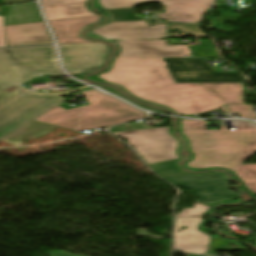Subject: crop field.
<instances>
[{
    "instance_id": "crop-field-1",
    "label": "crop field",
    "mask_w": 256,
    "mask_h": 256,
    "mask_svg": "<svg viewBox=\"0 0 256 256\" xmlns=\"http://www.w3.org/2000/svg\"><path fill=\"white\" fill-rule=\"evenodd\" d=\"M168 70V69H167ZM160 58H119L114 69L99 77L124 84L136 95L193 115L224 103L198 83H175Z\"/></svg>"
},
{
    "instance_id": "crop-field-2",
    "label": "crop field",
    "mask_w": 256,
    "mask_h": 256,
    "mask_svg": "<svg viewBox=\"0 0 256 256\" xmlns=\"http://www.w3.org/2000/svg\"><path fill=\"white\" fill-rule=\"evenodd\" d=\"M236 130L206 131L205 121L185 120V132L198 155L191 166L203 168L224 166L236 170L256 153V124L232 121Z\"/></svg>"
},
{
    "instance_id": "crop-field-3",
    "label": "crop field",
    "mask_w": 256,
    "mask_h": 256,
    "mask_svg": "<svg viewBox=\"0 0 256 256\" xmlns=\"http://www.w3.org/2000/svg\"><path fill=\"white\" fill-rule=\"evenodd\" d=\"M82 94L90 105L68 110L57 105L35 120L81 131L120 124L146 116L145 112L97 90ZM101 114L106 115L101 116Z\"/></svg>"
},
{
    "instance_id": "crop-field-4",
    "label": "crop field",
    "mask_w": 256,
    "mask_h": 256,
    "mask_svg": "<svg viewBox=\"0 0 256 256\" xmlns=\"http://www.w3.org/2000/svg\"><path fill=\"white\" fill-rule=\"evenodd\" d=\"M169 126L147 128L143 124L124 125L110 129L118 137L127 139L148 165L159 175L180 173L176 165L179 142L168 132Z\"/></svg>"
},
{
    "instance_id": "crop-field-5",
    "label": "crop field",
    "mask_w": 256,
    "mask_h": 256,
    "mask_svg": "<svg viewBox=\"0 0 256 256\" xmlns=\"http://www.w3.org/2000/svg\"><path fill=\"white\" fill-rule=\"evenodd\" d=\"M29 69L65 76L57 66L53 46L0 49V84L19 85L38 76Z\"/></svg>"
},
{
    "instance_id": "crop-field-6",
    "label": "crop field",
    "mask_w": 256,
    "mask_h": 256,
    "mask_svg": "<svg viewBox=\"0 0 256 256\" xmlns=\"http://www.w3.org/2000/svg\"><path fill=\"white\" fill-rule=\"evenodd\" d=\"M168 182L190 189L199 200L193 209L186 208L176 217L204 216L210 209L200 203L218 202L237 198L236 193L226 189L227 181L223 174L208 173L191 176L180 173L163 177Z\"/></svg>"
},
{
    "instance_id": "crop-field-7",
    "label": "crop field",
    "mask_w": 256,
    "mask_h": 256,
    "mask_svg": "<svg viewBox=\"0 0 256 256\" xmlns=\"http://www.w3.org/2000/svg\"><path fill=\"white\" fill-rule=\"evenodd\" d=\"M63 95L67 94L41 95L29 92L0 106V140L63 102L65 98H57Z\"/></svg>"
},
{
    "instance_id": "crop-field-8",
    "label": "crop field",
    "mask_w": 256,
    "mask_h": 256,
    "mask_svg": "<svg viewBox=\"0 0 256 256\" xmlns=\"http://www.w3.org/2000/svg\"><path fill=\"white\" fill-rule=\"evenodd\" d=\"M175 82H247L241 73H216L200 58H162Z\"/></svg>"
},
{
    "instance_id": "crop-field-9",
    "label": "crop field",
    "mask_w": 256,
    "mask_h": 256,
    "mask_svg": "<svg viewBox=\"0 0 256 256\" xmlns=\"http://www.w3.org/2000/svg\"><path fill=\"white\" fill-rule=\"evenodd\" d=\"M63 65L70 74L97 71L110 48L104 44L59 45Z\"/></svg>"
},
{
    "instance_id": "crop-field-10",
    "label": "crop field",
    "mask_w": 256,
    "mask_h": 256,
    "mask_svg": "<svg viewBox=\"0 0 256 256\" xmlns=\"http://www.w3.org/2000/svg\"><path fill=\"white\" fill-rule=\"evenodd\" d=\"M119 51L115 57H185L186 45L166 46V40H125L113 42Z\"/></svg>"
},
{
    "instance_id": "crop-field-11",
    "label": "crop field",
    "mask_w": 256,
    "mask_h": 256,
    "mask_svg": "<svg viewBox=\"0 0 256 256\" xmlns=\"http://www.w3.org/2000/svg\"><path fill=\"white\" fill-rule=\"evenodd\" d=\"M105 40L166 38V24L148 26L145 21L110 23L91 30Z\"/></svg>"
},
{
    "instance_id": "crop-field-12",
    "label": "crop field",
    "mask_w": 256,
    "mask_h": 256,
    "mask_svg": "<svg viewBox=\"0 0 256 256\" xmlns=\"http://www.w3.org/2000/svg\"><path fill=\"white\" fill-rule=\"evenodd\" d=\"M202 217L176 218L174 230V251L205 254L210 236L201 233L197 227ZM187 226V229L180 227ZM177 230H181L177 232Z\"/></svg>"
},
{
    "instance_id": "crop-field-13",
    "label": "crop field",
    "mask_w": 256,
    "mask_h": 256,
    "mask_svg": "<svg viewBox=\"0 0 256 256\" xmlns=\"http://www.w3.org/2000/svg\"><path fill=\"white\" fill-rule=\"evenodd\" d=\"M104 9L133 7L136 4L158 1L167 6L165 11L198 13L209 8L215 0H98Z\"/></svg>"
},
{
    "instance_id": "crop-field-14",
    "label": "crop field",
    "mask_w": 256,
    "mask_h": 256,
    "mask_svg": "<svg viewBox=\"0 0 256 256\" xmlns=\"http://www.w3.org/2000/svg\"><path fill=\"white\" fill-rule=\"evenodd\" d=\"M5 33L8 46L53 43L43 22L5 26Z\"/></svg>"
},
{
    "instance_id": "crop-field-15",
    "label": "crop field",
    "mask_w": 256,
    "mask_h": 256,
    "mask_svg": "<svg viewBox=\"0 0 256 256\" xmlns=\"http://www.w3.org/2000/svg\"><path fill=\"white\" fill-rule=\"evenodd\" d=\"M102 21L98 16L53 20L49 21L59 44H81V43H95L82 39L78 36L79 31L88 24Z\"/></svg>"
},
{
    "instance_id": "crop-field-16",
    "label": "crop field",
    "mask_w": 256,
    "mask_h": 256,
    "mask_svg": "<svg viewBox=\"0 0 256 256\" xmlns=\"http://www.w3.org/2000/svg\"><path fill=\"white\" fill-rule=\"evenodd\" d=\"M74 0H41L48 20L95 15L86 8V1L62 4Z\"/></svg>"
},
{
    "instance_id": "crop-field-17",
    "label": "crop field",
    "mask_w": 256,
    "mask_h": 256,
    "mask_svg": "<svg viewBox=\"0 0 256 256\" xmlns=\"http://www.w3.org/2000/svg\"><path fill=\"white\" fill-rule=\"evenodd\" d=\"M43 21L36 3L5 6V25Z\"/></svg>"
},
{
    "instance_id": "crop-field-18",
    "label": "crop field",
    "mask_w": 256,
    "mask_h": 256,
    "mask_svg": "<svg viewBox=\"0 0 256 256\" xmlns=\"http://www.w3.org/2000/svg\"><path fill=\"white\" fill-rule=\"evenodd\" d=\"M205 89L218 96L225 104H243L242 83H199Z\"/></svg>"
},
{
    "instance_id": "crop-field-19",
    "label": "crop field",
    "mask_w": 256,
    "mask_h": 256,
    "mask_svg": "<svg viewBox=\"0 0 256 256\" xmlns=\"http://www.w3.org/2000/svg\"><path fill=\"white\" fill-rule=\"evenodd\" d=\"M55 127L56 126L50 124L32 121L29 124L22 127L21 129L14 132L13 134L6 137L2 141H5L13 145H19L31 137L35 138L42 136Z\"/></svg>"
},
{
    "instance_id": "crop-field-20",
    "label": "crop field",
    "mask_w": 256,
    "mask_h": 256,
    "mask_svg": "<svg viewBox=\"0 0 256 256\" xmlns=\"http://www.w3.org/2000/svg\"><path fill=\"white\" fill-rule=\"evenodd\" d=\"M157 17L169 21L199 23L201 22L203 15L164 12L161 15H157Z\"/></svg>"
},
{
    "instance_id": "crop-field-21",
    "label": "crop field",
    "mask_w": 256,
    "mask_h": 256,
    "mask_svg": "<svg viewBox=\"0 0 256 256\" xmlns=\"http://www.w3.org/2000/svg\"><path fill=\"white\" fill-rule=\"evenodd\" d=\"M107 11L112 15V22L143 20L142 17L132 11V8L111 9Z\"/></svg>"
},
{
    "instance_id": "crop-field-22",
    "label": "crop field",
    "mask_w": 256,
    "mask_h": 256,
    "mask_svg": "<svg viewBox=\"0 0 256 256\" xmlns=\"http://www.w3.org/2000/svg\"><path fill=\"white\" fill-rule=\"evenodd\" d=\"M172 28L182 29L183 33L182 34H176V33L167 34V38L184 37L187 34H194L199 38H207V36L202 33L199 26L182 25V24L167 26V29H172Z\"/></svg>"
},
{
    "instance_id": "crop-field-23",
    "label": "crop field",
    "mask_w": 256,
    "mask_h": 256,
    "mask_svg": "<svg viewBox=\"0 0 256 256\" xmlns=\"http://www.w3.org/2000/svg\"><path fill=\"white\" fill-rule=\"evenodd\" d=\"M237 170L240 176L247 181L249 187L256 192V164L241 165Z\"/></svg>"
},
{
    "instance_id": "crop-field-24",
    "label": "crop field",
    "mask_w": 256,
    "mask_h": 256,
    "mask_svg": "<svg viewBox=\"0 0 256 256\" xmlns=\"http://www.w3.org/2000/svg\"><path fill=\"white\" fill-rule=\"evenodd\" d=\"M116 60H117V58H115V59L112 60L111 65H110V67H109V69H108L107 71L102 72V73H100V74H97V75H95V76H89L87 80L93 79V80L96 81V82L110 83V82H107V81H104V80L98 78V76L101 75V74H104V73H106V72L111 71L112 68H113V66H114V64H115V62H116ZM110 84L118 85L120 88H122L124 91H126L128 94H130L131 96H133L134 98H136V99H138V100H142V101H145V102H148V103H153V104H156V105L165 107V108H167V109L173 111L175 114H179V113H178L175 109H173V108H170V107H168V106H165V105H162V104H158V103H155V102L146 101V100H144V99H142V98H140V97H138V96L132 94V93H131L124 85H122V84H119V83H110Z\"/></svg>"
},
{
    "instance_id": "crop-field-25",
    "label": "crop field",
    "mask_w": 256,
    "mask_h": 256,
    "mask_svg": "<svg viewBox=\"0 0 256 256\" xmlns=\"http://www.w3.org/2000/svg\"><path fill=\"white\" fill-rule=\"evenodd\" d=\"M178 125H179V132L181 133V135L184 137V139L188 143V151H190L192 154L191 159L184 163V167H187V168H190V169H193L196 171L206 170V169H210V168H221V169H226V170L230 171L231 173L234 172V171L224 168V167H209V168H204V169H196V168L189 166L188 164L191 163L193 160H195L197 156L192 149V142H191L190 138L184 133V125H183V121L181 119H178Z\"/></svg>"
},
{
    "instance_id": "crop-field-26",
    "label": "crop field",
    "mask_w": 256,
    "mask_h": 256,
    "mask_svg": "<svg viewBox=\"0 0 256 256\" xmlns=\"http://www.w3.org/2000/svg\"><path fill=\"white\" fill-rule=\"evenodd\" d=\"M230 244H234L235 246H237L235 249H243L242 246L236 243L221 238L213 237L209 247L208 254H215V250H234L229 247Z\"/></svg>"
},
{
    "instance_id": "crop-field-27",
    "label": "crop field",
    "mask_w": 256,
    "mask_h": 256,
    "mask_svg": "<svg viewBox=\"0 0 256 256\" xmlns=\"http://www.w3.org/2000/svg\"><path fill=\"white\" fill-rule=\"evenodd\" d=\"M231 113H239V117L256 119V113L252 105H226Z\"/></svg>"
},
{
    "instance_id": "crop-field-28",
    "label": "crop field",
    "mask_w": 256,
    "mask_h": 256,
    "mask_svg": "<svg viewBox=\"0 0 256 256\" xmlns=\"http://www.w3.org/2000/svg\"><path fill=\"white\" fill-rule=\"evenodd\" d=\"M22 88L0 85V104L21 92Z\"/></svg>"
},
{
    "instance_id": "crop-field-29",
    "label": "crop field",
    "mask_w": 256,
    "mask_h": 256,
    "mask_svg": "<svg viewBox=\"0 0 256 256\" xmlns=\"http://www.w3.org/2000/svg\"><path fill=\"white\" fill-rule=\"evenodd\" d=\"M234 176H235V179L239 180V181L242 183L243 186L240 187L241 189L247 190V191L250 193V195H251L252 197H253L254 195H256V193H255L252 189H250V188L247 186V183L238 175L237 171H235Z\"/></svg>"
},
{
    "instance_id": "crop-field-30",
    "label": "crop field",
    "mask_w": 256,
    "mask_h": 256,
    "mask_svg": "<svg viewBox=\"0 0 256 256\" xmlns=\"http://www.w3.org/2000/svg\"><path fill=\"white\" fill-rule=\"evenodd\" d=\"M137 236H147V237H151V238H156V239H160L163 240V238L161 237H157V236H153L150 235L147 231H145L144 229H138L136 230Z\"/></svg>"
},
{
    "instance_id": "crop-field-31",
    "label": "crop field",
    "mask_w": 256,
    "mask_h": 256,
    "mask_svg": "<svg viewBox=\"0 0 256 256\" xmlns=\"http://www.w3.org/2000/svg\"><path fill=\"white\" fill-rule=\"evenodd\" d=\"M5 46L4 42V32H3V21L2 16H0V47Z\"/></svg>"
},
{
    "instance_id": "crop-field-32",
    "label": "crop field",
    "mask_w": 256,
    "mask_h": 256,
    "mask_svg": "<svg viewBox=\"0 0 256 256\" xmlns=\"http://www.w3.org/2000/svg\"><path fill=\"white\" fill-rule=\"evenodd\" d=\"M50 256H80L76 254H71L63 251H55V252H49Z\"/></svg>"
},
{
    "instance_id": "crop-field-33",
    "label": "crop field",
    "mask_w": 256,
    "mask_h": 256,
    "mask_svg": "<svg viewBox=\"0 0 256 256\" xmlns=\"http://www.w3.org/2000/svg\"><path fill=\"white\" fill-rule=\"evenodd\" d=\"M34 0H4L5 4H13V3H21V2H29Z\"/></svg>"
},
{
    "instance_id": "crop-field-34",
    "label": "crop field",
    "mask_w": 256,
    "mask_h": 256,
    "mask_svg": "<svg viewBox=\"0 0 256 256\" xmlns=\"http://www.w3.org/2000/svg\"><path fill=\"white\" fill-rule=\"evenodd\" d=\"M221 109H222L224 114H229L230 113V111L227 109L226 106H223Z\"/></svg>"
},
{
    "instance_id": "crop-field-35",
    "label": "crop field",
    "mask_w": 256,
    "mask_h": 256,
    "mask_svg": "<svg viewBox=\"0 0 256 256\" xmlns=\"http://www.w3.org/2000/svg\"><path fill=\"white\" fill-rule=\"evenodd\" d=\"M181 254H184V253H181ZM187 256H204V255H194V254H185Z\"/></svg>"
},
{
    "instance_id": "crop-field-36",
    "label": "crop field",
    "mask_w": 256,
    "mask_h": 256,
    "mask_svg": "<svg viewBox=\"0 0 256 256\" xmlns=\"http://www.w3.org/2000/svg\"><path fill=\"white\" fill-rule=\"evenodd\" d=\"M0 4H1V5L3 4V1H2V0H0Z\"/></svg>"
},
{
    "instance_id": "crop-field-37",
    "label": "crop field",
    "mask_w": 256,
    "mask_h": 256,
    "mask_svg": "<svg viewBox=\"0 0 256 256\" xmlns=\"http://www.w3.org/2000/svg\"><path fill=\"white\" fill-rule=\"evenodd\" d=\"M74 2H76V1H74ZM68 3H70V2H68Z\"/></svg>"
}]
</instances>
